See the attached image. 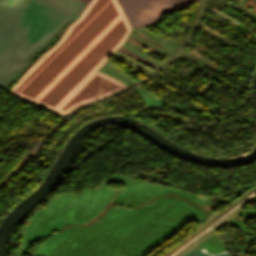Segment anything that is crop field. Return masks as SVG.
<instances>
[{
  "label": "crop field",
  "instance_id": "crop-field-1",
  "mask_svg": "<svg viewBox=\"0 0 256 256\" xmlns=\"http://www.w3.org/2000/svg\"><path fill=\"white\" fill-rule=\"evenodd\" d=\"M130 29L116 0H90L60 40L9 92L67 114L79 105L126 88L97 70L119 48Z\"/></svg>",
  "mask_w": 256,
  "mask_h": 256
},
{
  "label": "crop field",
  "instance_id": "crop-field-2",
  "mask_svg": "<svg viewBox=\"0 0 256 256\" xmlns=\"http://www.w3.org/2000/svg\"><path fill=\"white\" fill-rule=\"evenodd\" d=\"M77 17L40 0H0V88L9 90L33 55Z\"/></svg>",
  "mask_w": 256,
  "mask_h": 256
},
{
  "label": "crop field",
  "instance_id": "crop-field-3",
  "mask_svg": "<svg viewBox=\"0 0 256 256\" xmlns=\"http://www.w3.org/2000/svg\"><path fill=\"white\" fill-rule=\"evenodd\" d=\"M132 27L158 23L165 13L181 11L198 0H118Z\"/></svg>",
  "mask_w": 256,
  "mask_h": 256
},
{
  "label": "crop field",
  "instance_id": "crop-field-4",
  "mask_svg": "<svg viewBox=\"0 0 256 256\" xmlns=\"http://www.w3.org/2000/svg\"><path fill=\"white\" fill-rule=\"evenodd\" d=\"M44 1H47L51 4H54L56 6L69 10L78 15H80L82 10L86 6V3L80 0H44Z\"/></svg>",
  "mask_w": 256,
  "mask_h": 256
},
{
  "label": "crop field",
  "instance_id": "crop-field-5",
  "mask_svg": "<svg viewBox=\"0 0 256 256\" xmlns=\"http://www.w3.org/2000/svg\"><path fill=\"white\" fill-rule=\"evenodd\" d=\"M118 50H120V51H122V52H124V53H126V54H128V55H130V56H132V57H134V58H136L137 60H139V61H141V62H143V63H145V64H147V65H149V66H151V67H153V68H155V69L159 67V66H157V65H155V64H153V63H151L150 61H148V60H146V59L140 57L139 55H137V54L131 52L130 50H128V49H126V48H124V47H122V46H121Z\"/></svg>",
  "mask_w": 256,
  "mask_h": 256
},
{
  "label": "crop field",
  "instance_id": "crop-field-6",
  "mask_svg": "<svg viewBox=\"0 0 256 256\" xmlns=\"http://www.w3.org/2000/svg\"><path fill=\"white\" fill-rule=\"evenodd\" d=\"M82 1H84V2L88 3V1H89V0H82Z\"/></svg>",
  "mask_w": 256,
  "mask_h": 256
}]
</instances>
